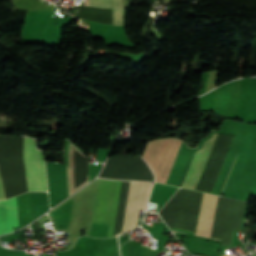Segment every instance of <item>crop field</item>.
Instances as JSON below:
<instances>
[{"label":"crop field","instance_id":"8a807250","mask_svg":"<svg viewBox=\"0 0 256 256\" xmlns=\"http://www.w3.org/2000/svg\"><path fill=\"white\" fill-rule=\"evenodd\" d=\"M218 196L204 194L195 235L210 236ZM246 202L219 197L211 237L231 246L234 230H240ZM218 239V240H219Z\"/></svg>","mask_w":256,"mask_h":256},{"label":"crop field","instance_id":"ac0d7876","mask_svg":"<svg viewBox=\"0 0 256 256\" xmlns=\"http://www.w3.org/2000/svg\"><path fill=\"white\" fill-rule=\"evenodd\" d=\"M181 141L178 139H165L149 142L143 159L147 161L155 173L156 180L166 182L170 168L176 157Z\"/></svg>","mask_w":256,"mask_h":256},{"label":"crop field","instance_id":"34b2d1b8","mask_svg":"<svg viewBox=\"0 0 256 256\" xmlns=\"http://www.w3.org/2000/svg\"><path fill=\"white\" fill-rule=\"evenodd\" d=\"M121 181H99L93 221L109 224L107 237L112 236Z\"/></svg>","mask_w":256,"mask_h":256},{"label":"crop field","instance_id":"412701ff","mask_svg":"<svg viewBox=\"0 0 256 256\" xmlns=\"http://www.w3.org/2000/svg\"><path fill=\"white\" fill-rule=\"evenodd\" d=\"M33 191H47L43 152L36 149L34 139L22 137Z\"/></svg>","mask_w":256,"mask_h":256},{"label":"crop field","instance_id":"f4fd0767","mask_svg":"<svg viewBox=\"0 0 256 256\" xmlns=\"http://www.w3.org/2000/svg\"><path fill=\"white\" fill-rule=\"evenodd\" d=\"M217 134L214 133L210 139L203 142L202 148L196 151L182 187L196 189Z\"/></svg>","mask_w":256,"mask_h":256},{"label":"crop field","instance_id":"dd49c442","mask_svg":"<svg viewBox=\"0 0 256 256\" xmlns=\"http://www.w3.org/2000/svg\"><path fill=\"white\" fill-rule=\"evenodd\" d=\"M69 195L87 183V157L72 146L71 167H68Z\"/></svg>","mask_w":256,"mask_h":256},{"label":"crop field","instance_id":"e52e79f7","mask_svg":"<svg viewBox=\"0 0 256 256\" xmlns=\"http://www.w3.org/2000/svg\"><path fill=\"white\" fill-rule=\"evenodd\" d=\"M12 228L19 227L16 197L8 199ZM7 200L0 202V235L12 231ZM14 231V229H13Z\"/></svg>","mask_w":256,"mask_h":256},{"label":"crop field","instance_id":"d8731c3e","mask_svg":"<svg viewBox=\"0 0 256 256\" xmlns=\"http://www.w3.org/2000/svg\"><path fill=\"white\" fill-rule=\"evenodd\" d=\"M85 5L91 7L109 8L111 15L110 25H123L124 6L122 4V0H86Z\"/></svg>","mask_w":256,"mask_h":256},{"label":"crop field","instance_id":"5a996713","mask_svg":"<svg viewBox=\"0 0 256 256\" xmlns=\"http://www.w3.org/2000/svg\"><path fill=\"white\" fill-rule=\"evenodd\" d=\"M251 93H256V77L250 78Z\"/></svg>","mask_w":256,"mask_h":256},{"label":"crop field","instance_id":"3316defc","mask_svg":"<svg viewBox=\"0 0 256 256\" xmlns=\"http://www.w3.org/2000/svg\"><path fill=\"white\" fill-rule=\"evenodd\" d=\"M5 199L4 192H3V187L1 183V178H0V200Z\"/></svg>","mask_w":256,"mask_h":256}]
</instances>
